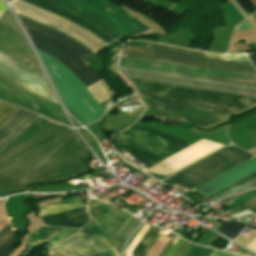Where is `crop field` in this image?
Listing matches in <instances>:
<instances>
[{"label":"crop field","instance_id":"obj_1","mask_svg":"<svg viewBox=\"0 0 256 256\" xmlns=\"http://www.w3.org/2000/svg\"><path fill=\"white\" fill-rule=\"evenodd\" d=\"M20 20L35 48L65 65L85 86L102 80L100 75L86 62L94 58V54L49 28L24 17ZM40 51L38 53L67 106L86 124L99 119L106 111L99 103L116 95L104 80L86 86L99 101L98 103L71 71Z\"/></svg>","mask_w":256,"mask_h":256},{"label":"crop field","instance_id":"obj_2","mask_svg":"<svg viewBox=\"0 0 256 256\" xmlns=\"http://www.w3.org/2000/svg\"><path fill=\"white\" fill-rule=\"evenodd\" d=\"M128 80L144 105L178 111L183 121L203 129L256 104V98Z\"/></svg>","mask_w":256,"mask_h":256},{"label":"crop field","instance_id":"obj_3","mask_svg":"<svg viewBox=\"0 0 256 256\" xmlns=\"http://www.w3.org/2000/svg\"><path fill=\"white\" fill-rule=\"evenodd\" d=\"M88 212L94 220L83 232L58 242L49 256H102L116 249L140 223L129 213L92 199Z\"/></svg>","mask_w":256,"mask_h":256},{"label":"crop field","instance_id":"obj_4","mask_svg":"<svg viewBox=\"0 0 256 256\" xmlns=\"http://www.w3.org/2000/svg\"><path fill=\"white\" fill-rule=\"evenodd\" d=\"M24 1L87 28L108 43L114 38L140 33L149 29L124 10L106 0Z\"/></svg>","mask_w":256,"mask_h":256},{"label":"crop field","instance_id":"obj_5","mask_svg":"<svg viewBox=\"0 0 256 256\" xmlns=\"http://www.w3.org/2000/svg\"><path fill=\"white\" fill-rule=\"evenodd\" d=\"M0 80L58 104L26 39L6 14L0 20Z\"/></svg>","mask_w":256,"mask_h":256},{"label":"crop field","instance_id":"obj_6","mask_svg":"<svg viewBox=\"0 0 256 256\" xmlns=\"http://www.w3.org/2000/svg\"><path fill=\"white\" fill-rule=\"evenodd\" d=\"M204 53L205 52L202 51L186 50L148 42L147 47L126 46L122 55L152 58L186 66L256 75L255 68L251 62H247L249 59L244 54L223 55L209 52L205 53L208 55L247 61L208 56L204 55Z\"/></svg>","mask_w":256,"mask_h":256},{"label":"crop field","instance_id":"obj_7","mask_svg":"<svg viewBox=\"0 0 256 256\" xmlns=\"http://www.w3.org/2000/svg\"><path fill=\"white\" fill-rule=\"evenodd\" d=\"M130 129L142 131L162 138L184 149L191 145L163 131L139 125H135ZM130 129H127L117 135V146L131 153L148 168L181 150V148L167 141Z\"/></svg>","mask_w":256,"mask_h":256},{"label":"crop field","instance_id":"obj_8","mask_svg":"<svg viewBox=\"0 0 256 256\" xmlns=\"http://www.w3.org/2000/svg\"><path fill=\"white\" fill-rule=\"evenodd\" d=\"M252 156L230 146L166 180L191 189Z\"/></svg>","mask_w":256,"mask_h":256},{"label":"crop field","instance_id":"obj_9","mask_svg":"<svg viewBox=\"0 0 256 256\" xmlns=\"http://www.w3.org/2000/svg\"><path fill=\"white\" fill-rule=\"evenodd\" d=\"M12 7L15 12L38 21L44 25L54 28L85 45L96 52L103 48L105 44L89 31L40 8L30 5L21 0H13Z\"/></svg>","mask_w":256,"mask_h":256},{"label":"crop field","instance_id":"obj_10","mask_svg":"<svg viewBox=\"0 0 256 256\" xmlns=\"http://www.w3.org/2000/svg\"><path fill=\"white\" fill-rule=\"evenodd\" d=\"M120 65L125 67L160 70V71L177 74V75L192 76V77L218 80V81H228V82H235L240 84L256 86V76H250V75L186 67V66L169 64V63H164L159 61L126 58V57L121 58Z\"/></svg>","mask_w":256,"mask_h":256},{"label":"crop field","instance_id":"obj_11","mask_svg":"<svg viewBox=\"0 0 256 256\" xmlns=\"http://www.w3.org/2000/svg\"><path fill=\"white\" fill-rule=\"evenodd\" d=\"M19 108L0 101V127L17 111ZM38 115L20 109L0 128V152L13 141Z\"/></svg>","mask_w":256,"mask_h":256},{"label":"crop field","instance_id":"obj_12","mask_svg":"<svg viewBox=\"0 0 256 256\" xmlns=\"http://www.w3.org/2000/svg\"><path fill=\"white\" fill-rule=\"evenodd\" d=\"M0 96L17 102L58 121L66 118L60 107L32 94L26 93L0 82Z\"/></svg>","mask_w":256,"mask_h":256},{"label":"crop field","instance_id":"obj_13","mask_svg":"<svg viewBox=\"0 0 256 256\" xmlns=\"http://www.w3.org/2000/svg\"><path fill=\"white\" fill-rule=\"evenodd\" d=\"M158 231L159 228L150 226L136 248L133 250L132 256H142L143 251L146 249ZM179 239L180 238L177 237L172 244L174 245ZM172 244L163 256H185L192 247V244H188L181 239L174 246ZM211 251V248L194 245L186 256H208Z\"/></svg>","mask_w":256,"mask_h":256},{"label":"crop field","instance_id":"obj_14","mask_svg":"<svg viewBox=\"0 0 256 256\" xmlns=\"http://www.w3.org/2000/svg\"><path fill=\"white\" fill-rule=\"evenodd\" d=\"M255 171H256V157L224 174L222 173L223 175L207 182L206 184L194 190L208 197L222 190L223 188L237 182L238 180L254 173Z\"/></svg>","mask_w":256,"mask_h":256},{"label":"crop field","instance_id":"obj_15","mask_svg":"<svg viewBox=\"0 0 256 256\" xmlns=\"http://www.w3.org/2000/svg\"><path fill=\"white\" fill-rule=\"evenodd\" d=\"M45 225L81 228L89 221L85 207L40 218Z\"/></svg>","mask_w":256,"mask_h":256},{"label":"crop field","instance_id":"obj_16","mask_svg":"<svg viewBox=\"0 0 256 256\" xmlns=\"http://www.w3.org/2000/svg\"><path fill=\"white\" fill-rule=\"evenodd\" d=\"M85 206L78 198H71L56 204L39 208V217Z\"/></svg>","mask_w":256,"mask_h":256},{"label":"crop field","instance_id":"obj_17","mask_svg":"<svg viewBox=\"0 0 256 256\" xmlns=\"http://www.w3.org/2000/svg\"><path fill=\"white\" fill-rule=\"evenodd\" d=\"M254 186H256V172L254 174L240 180L239 182L223 189L222 191L210 196L209 198L212 201H215L227 194H231L238 190H242V189H246V188H250V187H254Z\"/></svg>","mask_w":256,"mask_h":256},{"label":"crop field","instance_id":"obj_18","mask_svg":"<svg viewBox=\"0 0 256 256\" xmlns=\"http://www.w3.org/2000/svg\"><path fill=\"white\" fill-rule=\"evenodd\" d=\"M64 230L65 229L62 228L43 227L30 233L27 237V240L29 241L30 245L40 244L56 236Z\"/></svg>","mask_w":256,"mask_h":256},{"label":"crop field","instance_id":"obj_19","mask_svg":"<svg viewBox=\"0 0 256 256\" xmlns=\"http://www.w3.org/2000/svg\"><path fill=\"white\" fill-rule=\"evenodd\" d=\"M13 235L10 225H8L0 233V247ZM17 243V238L13 235L0 249V256H7L14 250V245Z\"/></svg>","mask_w":256,"mask_h":256},{"label":"crop field","instance_id":"obj_20","mask_svg":"<svg viewBox=\"0 0 256 256\" xmlns=\"http://www.w3.org/2000/svg\"><path fill=\"white\" fill-rule=\"evenodd\" d=\"M243 228L244 226L236 223H223L217 231L233 239Z\"/></svg>","mask_w":256,"mask_h":256},{"label":"crop field","instance_id":"obj_21","mask_svg":"<svg viewBox=\"0 0 256 256\" xmlns=\"http://www.w3.org/2000/svg\"><path fill=\"white\" fill-rule=\"evenodd\" d=\"M249 209L251 210L253 213H256V196L251 198L250 200H248L247 202L237 206V207H234L230 210H228V212L233 215L235 213H238L242 210H245V209Z\"/></svg>","mask_w":256,"mask_h":256},{"label":"crop field","instance_id":"obj_22","mask_svg":"<svg viewBox=\"0 0 256 256\" xmlns=\"http://www.w3.org/2000/svg\"><path fill=\"white\" fill-rule=\"evenodd\" d=\"M255 195H256V190H252V191L248 192L247 194H245L244 196L240 197L239 199L235 200V201H234V202H235L234 204L228 206L229 204L233 203V202H230V203H228V205H227V204H224V205H225L228 209H230V208H232V207H234V206H236V205H239V204H241V203L247 201L248 199H250L251 197H253V196H255Z\"/></svg>","mask_w":256,"mask_h":256},{"label":"crop field","instance_id":"obj_23","mask_svg":"<svg viewBox=\"0 0 256 256\" xmlns=\"http://www.w3.org/2000/svg\"><path fill=\"white\" fill-rule=\"evenodd\" d=\"M75 231H77V230L67 229V230H65L64 232H62V233H60L59 235H57L55 238H53V239L50 241V243L54 244V243H56L57 241H59V240L65 238V237H67V236L73 234Z\"/></svg>","mask_w":256,"mask_h":256},{"label":"crop field","instance_id":"obj_24","mask_svg":"<svg viewBox=\"0 0 256 256\" xmlns=\"http://www.w3.org/2000/svg\"><path fill=\"white\" fill-rule=\"evenodd\" d=\"M210 256H239V255L214 249V251L211 253Z\"/></svg>","mask_w":256,"mask_h":256},{"label":"crop field","instance_id":"obj_25","mask_svg":"<svg viewBox=\"0 0 256 256\" xmlns=\"http://www.w3.org/2000/svg\"><path fill=\"white\" fill-rule=\"evenodd\" d=\"M218 238H219V236H217V235H213L208 241H207V243L205 244V245H207V246H211L216 240H218Z\"/></svg>","mask_w":256,"mask_h":256},{"label":"crop field","instance_id":"obj_26","mask_svg":"<svg viewBox=\"0 0 256 256\" xmlns=\"http://www.w3.org/2000/svg\"><path fill=\"white\" fill-rule=\"evenodd\" d=\"M247 193V192H246ZM243 194H245V193H243ZM243 194H239V195H235V196H232V197H228V198H225V199H223L222 201H224V202H229V201H231V200H234V199H237V198H239L240 196H242Z\"/></svg>","mask_w":256,"mask_h":256},{"label":"crop field","instance_id":"obj_27","mask_svg":"<svg viewBox=\"0 0 256 256\" xmlns=\"http://www.w3.org/2000/svg\"><path fill=\"white\" fill-rule=\"evenodd\" d=\"M237 253L244 254V255H249V256H254L251 253H249V252H247L245 250H242V249H240Z\"/></svg>","mask_w":256,"mask_h":256},{"label":"crop field","instance_id":"obj_28","mask_svg":"<svg viewBox=\"0 0 256 256\" xmlns=\"http://www.w3.org/2000/svg\"><path fill=\"white\" fill-rule=\"evenodd\" d=\"M120 155H121V157H122L123 159H125L127 162H129V163L135 165L136 167L138 166V165L135 164L133 161H131V160H129L128 158H126L124 155H122V154H120Z\"/></svg>","mask_w":256,"mask_h":256},{"label":"crop field","instance_id":"obj_29","mask_svg":"<svg viewBox=\"0 0 256 256\" xmlns=\"http://www.w3.org/2000/svg\"><path fill=\"white\" fill-rule=\"evenodd\" d=\"M106 256H119V254L116 251H114Z\"/></svg>","mask_w":256,"mask_h":256},{"label":"crop field","instance_id":"obj_30","mask_svg":"<svg viewBox=\"0 0 256 256\" xmlns=\"http://www.w3.org/2000/svg\"><path fill=\"white\" fill-rule=\"evenodd\" d=\"M253 16H254V18L256 19V13H255Z\"/></svg>","mask_w":256,"mask_h":256},{"label":"crop field","instance_id":"obj_31","mask_svg":"<svg viewBox=\"0 0 256 256\" xmlns=\"http://www.w3.org/2000/svg\"><path fill=\"white\" fill-rule=\"evenodd\" d=\"M240 256H243V255H240Z\"/></svg>","mask_w":256,"mask_h":256},{"label":"crop field","instance_id":"obj_32","mask_svg":"<svg viewBox=\"0 0 256 256\" xmlns=\"http://www.w3.org/2000/svg\"><path fill=\"white\" fill-rule=\"evenodd\" d=\"M0 15H1V13H0Z\"/></svg>","mask_w":256,"mask_h":256}]
</instances>
